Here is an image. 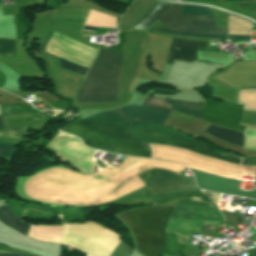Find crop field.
<instances>
[{
    "instance_id": "1",
    "label": "crop field",
    "mask_w": 256,
    "mask_h": 256,
    "mask_svg": "<svg viewBox=\"0 0 256 256\" xmlns=\"http://www.w3.org/2000/svg\"><path fill=\"white\" fill-rule=\"evenodd\" d=\"M151 167H157L175 173L186 169L177 164L127 157L122 165L113 171L104 169L95 175H85L87 177L77 175L71 172L73 170L66 167L64 168L71 171L61 167L49 168L50 170L46 169L47 171L42 170L43 172L39 171L41 173H36H39L38 175L34 174L36 176L33 177V175V178H18L14 191L19 198L26 200H30L28 198H31L51 204H90L98 202L104 204L144 186L137 175ZM19 179H25L20 180L19 190L22 195L28 198L22 196L18 190ZM38 203L54 207H94L102 204L50 205L42 202Z\"/></svg>"
},
{
    "instance_id": "2",
    "label": "crop field",
    "mask_w": 256,
    "mask_h": 256,
    "mask_svg": "<svg viewBox=\"0 0 256 256\" xmlns=\"http://www.w3.org/2000/svg\"><path fill=\"white\" fill-rule=\"evenodd\" d=\"M133 123L163 125L169 114L149 108L128 106L111 110ZM109 110L71 123L64 132L79 136L89 147L117 154L150 158L148 145L134 134L133 123Z\"/></svg>"
},
{
    "instance_id": "3",
    "label": "crop field",
    "mask_w": 256,
    "mask_h": 256,
    "mask_svg": "<svg viewBox=\"0 0 256 256\" xmlns=\"http://www.w3.org/2000/svg\"><path fill=\"white\" fill-rule=\"evenodd\" d=\"M135 134L143 138L145 142L149 143L185 148L232 163L256 164V157H239L233 154H219L205 148L206 146L204 147L199 143L188 141L165 130L144 128L136 130ZM148 145L150 146L153 159L169 160L193 169L230 178H237L240 174L253 175V177H256V165L232 164L206 157L189 150L154 144Z\"/></svg>"
},
{
    "instance_id": "4",
    "label": "crop field",
    "mask_w": 256,
    "mask_h": 256,
    "mask_svg": "<svg viewBox=\"0 0 256 256\" xmlns=\"http://www.w3.org/2000/svg\"><path fill=\"white\" fill-rule=\"evenodd\" d=\"M174 207L148 208L120 216L131 227L143 255L160 256L163 252L164 229Z\"/></svg>"
},
{
    "instance_id": "5",
    "label": "crop field",
    "mask_w": 256,
    "mask_h": 256,
    "mask_svg": "<svg viewBox=\"0 0 256 256\" xmlns=\"http://www.w3.org/2000/svg\"><path fill=\"white\" fill-rule=\"evenodd\" d=\"M122 52L99 51L87 77L119 79ZM85 78L76 102L115 101L118 80Z\"/></svg>"
},
{
    "instance_id": "6",
    "label": "crop field",
    "mask_w": 256,
    "mask_h": 256,
    "mask_svg": "<svg viewBox=\"0 0 256 256\" xmlns=\"http://www.w3.org/2000/svg\"><path fill=\"white\" fill-rule=\"evenodd\" d=\"M121 242L118 235L91 221L65 224L63 242L92 256H110Z\"/></svg>"
},
{
    "instance_id": "7",
    "label": "crop field",
    "mask_w": 256,
    "mask_h": 256,
    "mask_svg": "<svg viewBox=\"0 0 256 256\" xmlns=\"http://www.w3.org/2000/svg\"><path fill=\"white\" fill-rule=\"evenodd\" d=\"M48 145L53 146L61 151H63L64 153H66L68 156H70L72 159H74L76 162L87 166L91 169L94 170V163L95 161H93L91 159V157L93 156V154L96 152L95 150L89 149L87 148L80 139L73 137L71 135H67V134H63L60 133L57 136H55L49 143ZM46 145V147H49L51 149H53L55 152H57L61 157H63L64 159H66L67 161H69L71 163V166L86 172V173H94L93 170L86 168L78 163H76L74 160H72L70 157H68L66 154H64L63 152L50 147Z\"/></svg>"
},
{
    "instance_id": "8",
    "label": "crop field",
    "mask_w": 256,
    "mask_h": 256,
    "mask_svg": "<svg viewBox=\"0 0 256 256\" xmlns=\"http://www.w3.org/2000/svg\"><path fill=\"white\" fill-rule=\"evenodd\" d=\"M138 176L151 195L177 190H197L194 178H186L157 168H151Z\"/></svg>"
},
{
    "instance_id": "9",
    "label": "crop field",
    "mask_w": 256,
    "mask_h": 256,
    "mask_svg": "<svg viewBox=\"0 0 256 256\" xmlns=\"http://www.w3.org/2000/svg\"><path fill=\"white\" fill-rule=\"evenodd\" d=\"M242 105L218 104L206 101L204 111L199 118L207 120L214 125L243 132L244 126L238 125L241 117Z\"/></svg>"
},
{
    "instance_id": "10",
    "label": "crop field",
    "mask_w": 256,
    "mask_h": 256,
    "mask_svg": "<svg viewBox=\"0 0 256 256\" xmlns=\"http://www.w3.org/2000/svg\"><path fill=\"white\" fill-rule=\"evenodd\" d=\"M167 29L206 34L227 33V28H216L214 17H191L182 14Z\"/></svg>"
},
{
    "instance_id": "11",
    "label": "crop field",
    "mask_w": 256,
    "mask_h": 256,
    "mask_svg": "<svg viewBox=\"0 0 256 256\" xmlns=\"http://www.w3.org/2000/svg\"><path fill=\"white\" fill-rule=\"evenodd\" d=\"M170 217L223 220L217 206L179 200Z\"/></svg>"
},
{
    "instance_id": "12",
    "label": "crop field",
    "mask_w": 256,
    "mask_h": 256,
    "mask_svg": "<svg viewBox=\"0 0 256 256\" xmlns=\"http://www.w3.org/2000/svg\"><path fill=\"white\" fill-rule=\"evenodd\" d=\"M191 171L195 174L198 186L202 189L256 199V190L248 192L238 191V181L236 180H227L225 178L197 172L194 170Z\"/></svg>"
},
{
    "instance_id": "13",
    "label": "crop field",
    "mask_w": 256,
    "mask_h": 256,
    "mask_svg": "<svg viewBox=\"0 0 256 256\" xmlns=\"http://www.w3.org/2000/svg\"><path fill=\"white\" fill-rule=\"evenodd\" d=\"M169 5L170 4L156 2L134 29H143L149 27L161 17ZM182 7L183 6L171 4L156 23L165 26L169 25L177 16H179Z\"/></svg>"
},
{
    "instance_id": "14",
    "label": "crop field",
    "mask_w": 256,
    "mask_h": 256,
    "mask_svg": "<svg viewBox=\"0 0 256 256\" xmlns=\"http://www.w3.org/2000/svg\"><path fill=\"white\" fill-rule=\"evenodd\" d=\"M207 44L208 42L173 38L166 63L171 65L173 60L192 62L196 59L197 46H207Z\"/></svg>"
},
{
    "instance_id": "15",
    "label": "crop field",
    "mask_w": 256,
    "mask_h": 256,
    "mask_svg": "<svg viewBox=\"0 0 256 256\" xmlns=\"http://www.w3.org/2000/svg\"><path fill=\"white\" fill-rule=\"evenodd\" d=\"M204 132L221 139L223 141L238 145V146H243V134L234 132L231 130L223 129V128H218L210 125Z\"/></svg>"
},
{
    "instance_id": "16",
    "label": "crop field",
    "mask_w": 256,
    "mask_h": 256,
    "mask_svg": "<svg viewBox=\"0 0 256 256\" xmlns=\"http://www.w3.org/2000/svg\"><path fill=\"white\" fill-rule=\"evenodd\" d=\"M0 221L25 235L28 234L30 225L22 223L21 218L5 206L0 207Z\"/></svg>"
},
{
    "instance_id": "17",
    "label": "crop field",
    "mask_w": 256,
    "mask_h": 256,
    "mask_svg": "<svg viewBox=\"0 0 256 256\" xmlns=\"http://www.w3.org/2000/svg\"><path fill=\"white\" fill-rule=\"evenodd\" d=\"M173 110L198 117L202 112L203 104L181 100H168Z\"/></svg>"
},
{
    "instance_id": "18",
    "label": "crop field",
    "mask_w": 256,
    "mask_h": 256,
    "mask_svg": "<svg viewBox=\"0 0 256 256\" xmlns=\"http://www.w3.org/2000/svg\"><path fill=\"white\" fill-rule=\"evenodd\" d=\"M143 106L153 108L156 110L169 112V113L171 111V106L167 103V100L149 97V96L147 97Z\"/></svg>"
},
{
    "instance_id": "19",
    "label": "crop field",
    "mask_w": 256,
    "mask_h": 256,
    "mask_svg": "<svg viewBox=\"0 0 256 256\" xmlns=\"http://www.w3.org/2000/svg\"><path fill=\"white\" fill-rule=\"evenodd\" d=\"M52 34H53V32H51L49 38L47 39L46 43L44 44V48H43L44 52H45V46H46L47 42L49 41L50 37L52 36ZM59 60H60V66L65 69H68L70 71H74V72L81 73L84 75L88 71V67H85V66H82V65L61 59V58H59Z\"/></svg>"
},
{
    "instance_id": "20",
    "label": "crop field",
    "mask_w": 256,
    "mask_h": 256,
    "mask_svg": "<svg viewBox=\"0 0 256 256\" xmlns=\"http://www.w3.org/2000/svg\"><path fill=\"white\" fill-rule=\"evenodd\" d=\"M183 14L192 15V16H207L212 15L211 11L208 7L204 6H192V5H185L183 9Z\"/></svg>"
},
{
    "instance_id": "21",
    "label": "crop field",
    "mask_w": 256,
    "mask_h": 256,
    "mask_svg": "<svg viewBox=\"0 0 256 256\" xmlns=\"http://www.w3.org/2000/svg\"><path fill=\"white\" fill-rule=\"evenodd\" d=\"M16 40H0V55L15 57Z\"/></svg>"
},
{
    "instance_id": "22",
    "label": "crop field",
    "mask_w": 256,
    "mask_h": 256,
    "mask_svg": "<svg viewBox=\"0 0 256 256\" xmlns=\"http://www.w3.org/2000/svg\"><path fill=\"white\" fill-rule=\"evenodd\" d=\"M28 129L29 127L20 128V129L0 130V136L23 139L24 136L27 134Z\"/></svg>"
},
{
    "instance_id": "23",
    "label": "crop field",
    "mask_w": 256,
    "mask_h": 256,
    "mask_svg": "<svg viewBox=\"0 0 256 256\" xmlns=\"http://www.w3.org/2000/svg\"><path fill=\"white\" fill-rule=\"evenodd\" d=\"M225 218V224L235 226L241 215L220 210Z\"/></svg>"
},
{
    "instance_id": "24",
    "label": "crop field",
    "mask_w": 256,
    "mask_h": 256,
    "mask_svg": "<svg viewBox=\"0 0 256 256\" xmlns=\"http://www.w3.org/2000/svg\"><path fill=\"white\" fill-rule=\"evenodd\" d=\"M13 147L0 144V158L9 161L14 152Z\"/></svg>"
},
{
    "instance_id": "25",
    "label": "crop field",
    "mask_w": 256,
    "mask_h": 256,
    "mask_svg": "<svg viewBox=\"0 0 256 256\" xmlns=\"http://www.w3.org/2000/svg\"><path fill=\"white\" fill-rule=\"evenodd\" d=\"M131 248L123 242L115 249L111 256H129Z\"/></svg>"
},
{
    "instance_id": "26",
    "label": "crop field",
    "mask_w": 256,
    "mask_h": 256,
    "mask_svg": "<svg viewBox=\"0 0 256 256\" xmlns=\"http://www.w3.org/2000/svg\"><path fill=\"white\" fill-rule=\"evenodd\" d=\"M155 30L160 32H165V33L177 34V35L199 36V37H207V38H226V35H199V34H185V33L167 31L162 29H155Z\"/></svg>"
},
{
    "instance_id": "27",
    "label": "crop field",
    "mask_w": 256,
    "mask_h": 256,
    "mask_svg": "<svg viewBox=\"0 0 256 256\" xmlns=\"http://www.w3.org/2000/svg\"><path fill=\"white\" fill-rule=\"evenodd\" d=\"M256 0H247V1H239V3H246V2H254ZM240 8L256 11V2L254 3H247V4H239Z\"/></svg>"
},
{
    "instance_id": "28",
    "label": "crop field",
    "mask_w": 256,
    "mask_h": 256,
    "mask_svg": "<svg viewBox=\"0 0 256 256\" xmlns=\"http://www.w3.org/2000/svg\"><path fill=\"white\" fill-rule=\"evenodd\" d=\"M228 40H233V41H245V40H250V36L228 35Z\"/></svg>"
},
{
    "instance_id": "29",
    "label": "crop field",
    "mask_w": 256,
    "mask_h": 256,
    "mask_svg": "<svg viewBox=\"0 0 256 256\" xmlns=\"http://www.w3.org/2000/svg\"><path fill=\"white\" fill-rule=\"evenodd\" d=\"M84 29H85V30L96 31L97 28L85 25V26H84ZM91 31H89V32H91Z\"/></svg>"
},
{
    "instance_id": "30",
    "label": "crop field",
    "mask_w": 256,
    "mask_h": 256,
    "mask_svg": "<svg viewBox=\"0 0 256 256\" xmlns=\"http://www.w3.org/2000/svg\"><path fill=\"white\" fill-rule=\"evenodd\" d=\"M0 256H26V255H21V254H12V255H0Z\"/></svg>"
},
{
    "instance_id": "31",
    "label": "crop field",
    "mask_w": 256,
    "mask_h": 256,
    "mask_svg": "<svg viewBox=\"0 0 256 256\" xmlns=\"http://www.w3.org/2000/svg\"><path fill=\"white\" fill-rule=\"evenodd\" d=\"M0 129H3V125H2L1 116H0Z\"/></svg>"
},
{
    "instance_id": "32",
    "label": "crop field",
    "mask_w": 256,
    "mask_h": 256,
    "mask_svg": "<svg viewBox=\"0 0 256 256\" xmlns=\"http://www.w3.org/2000/svg\"><path fill=\"white\" fill-rule=\"evenodd\" d=\"M86 256H89V255H86Z\"/></svg>"
},
{
    "instance_id": "33",
    "label": "crop field",
    "mask_w": 256,
    "mask_h": 256,
    "mask_svg": "<svg viewBox=\"0 0 256 256\" xmlns=\"http://www.w3.org/2000/svg\"><path fill=\"white\" fill-rule=\"evenodd\" d=\"M2 91V90H1Z\"/></svg>"
}]
</instances>
